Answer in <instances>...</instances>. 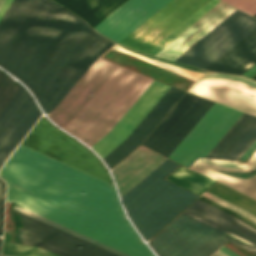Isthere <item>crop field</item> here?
<instances>
[{"instance_id":"cbeb9de0","label":"crop field","mask_w":256,"mask_h":256,"mask_svg":"<svg viewBox=\"0 0 256 256\" xmlns=\"http://www.w3.org/2000/svg\"><path fill=\"white\" fill-rule=\"evenodd\" d=\"M118 67L119 65L98 58L56 109L49 114V117L63 128L80 112Z\"/></svg>"},{"instance_id":"5d738f31","label":"crop field","mask_w":256,"mask_h":256,"mask_svg":"<svg viewBox=\"0 0 256 256\" xmlns=\"http://www.w3.org/2000/svg\"><path fill=\"white\" fill-rule=\"evenodd\" d=\"M3 1H4V0H0V6H1V4L3 3Z\"/></svg>"},{"instance_id":"5142ce71","label":"crop field","mask_w":256,"mask_h":256,"mask_svg":"<svg viewBox=\"0 0 256 256\" xmlns=\"http://www.w3.org/2000/svg\"><path fill=\"white\" fill-rule=\"evenodd\" d=\"M22 90L29 96L41 115L31 96L22 86L0 114V118ZM23 91L0 120V167L40 117L28 96Z\"/></svg>"},{"instance_id":"733c2abd","label":"crop field","mask_w":256,"mask_h":256,"mask_svg":"<svg viewBox=\"0 0 256 256\" xmlns=\"http://www.w3.org/2000/svg\"><path fill=\"white\" fill-rule=\"evenodd\" d=\"M170 0H127L94 29L118 43Z\"/></svg>"},{"instance_id":"5a996713","label":"crop field","mask_w":256,"mask_h":256,"mask_svg":"<svg viewBox=\"0 0 256 256\" xmlns=\"http://www.w3.org/2000/svg\"><path fill=\"white\" fill-rule=\"evenodd\" d=\"M241 114L214 103L169 157L188 166L205 157Z\"/></svg>"},{"instance_id":"d8731c3e","label":"crop field","mask_w":256,"mask_h":256,"mask_svg":"<svg viewBox=\"0 0 256 256\" xmlns=\"http://www.w3.org/2000/svg\"><path fill=\"white\" fill-rule=\"evenodd\" d=\"M255 28V19L236 10L175 61L206 69Z\"/></svg>"},{"instance_id":"25e5ab78","label":"crop field","mask_w":256,"mask_h":256,"mask_svg":"<svg viewBox=\"0 0 256 256\" xmlns=\"http://www.w3.org/2000/svg\"><path fill=\"white\" fill-rule=\"evenodd\" d=\"M254 17H256V15H254Z\"/></svg>"},{"instance_id":"730fd06b","label":"crop field","mask_w":256,"mask_h":256,"mask_svg":"<svg viewBox=\"0 0 256 256\" xmlns=\"http://www.w3.org/2000/svg\"><path fill=\"white\" fill-rule=\"evenodd\" d=\"M167 180H170L172 182H175L199 195H201L204 191H206L212 184H214L216 181L212 180L210 178H207L203 175H200L198 173H195L193 171H190L182 166H179L174 172H172L167 178ZM182 181L195 186L199 189L193 188Z\"/></svg>"},{"instance_id":"4177f3b9","label":"crop field","mask_w":256,"mask_h":256,"mask_svg":"<svg viewBox=\"0 0 256 256\" xmlns=\"http://www.w3.org/2000/svg\"><path fill=\"white\" fill-rule=\"evenodd\" d=\"M208 193L252 214L256 217V200L218 182Z\"/></svg>"},{"instance_id":"4a817a6b","label":"crop field","mask_w":256,"mask_h":256,"mask_svg":"<svg viewBox=\"0 0 256 256\" xmlns=\"http://www.w3.org/2000/svg\"><path fill=\"white\" fill-rule=\"evenodd\" d=\"M184 93L172 87L169 89L130 136L103 159L109 169H112L143 142Z\"/></svg>"},{"instance_id":"03da06ac","label":"crop field","mask_w":256,"mask_h":256,"mask_svg":"<svg viewBox=\"0 0 256 256\" xmlns=\"http://www.w3.org/2000/svg\"><path fill=\"white\" fill-rule=\"evenodd\" d=\"M229 249V248H228ZM226 247H222V248H220L219 250H221L223 253H225L226 255H228V256H237V255H235L233 252H231L230 250H228Z\"/></svg>"},{"instance_id":"92a150f3","label":"crop field","mask_w":256,"mask_h":256,"mask_svg":"<svg viewBox=\"0 0 256 256\" xmlns=\"http://www.w3.org/2000/svg\"><path fill=\"white\" fill-rule=\"evenodd\" d=\"M233 11H235V9L220 2L191 27L184 31L180 36L173 40L169 45L162 49L158 54H156V56L174 61L188 47L209 32ZM200 28L202 29L198 31ZM196 31L198 32L181 46V44Z\"/></svg>"},{"instance_id":"dd49c442","label":"crop field","mask_w":256,"mask_h":256,"mask_svg":"<svg viewBox=\"0 0 256 256\" xmlns=\"http://www.w3.org/2000/svg\"><path fill=\"white\" fill-rule=\"evenodd\" d=\"M230 238L182 213L148 244L158 256H210Z\"/></svg>"},{"instance_id":"eef30255","label":"crop field","mask_w":256,"mask_h":256,"mask_svg":"<svg viewBox=\"0 0 256 256\" xmlns=\"http://www.w3.org/2000/svg\"><path fill=\"white\" fill-rule=\"evenodd\" d=\"M256 139V117L230 145L220 158L239 159Z\"/></svg>"},{"instance_id":"b54c1fbb","label":"crop field","mask_w":256,"mask_h":256,"mask_svg":"<svg viewBox=\"0 0 256 256\" xmlns=\"http://www.w3.org/2000/svg\"><path fill=\"white\" fill-rule=\"evenodd\" d=\"M212 256H226L225 254H223L221 251H217L215 254H213Z\"/></svg>"},{"instance_id":"73cf0c24","label":"crop field","mask_w":256,"mask_h":256,"mask_svg":"<svg viewBox=\"0 0 256 256\" xmlns=\"http://www.w3.org/2000/svg\"><path fill=\"white\" fill-rule=\"evenodd\" d=\"M2 256H4V255H2Z\"/></svg>"},{"instance_id":"8a807250","label":"crop field","mask_w":256,"mask_h":256,"mask_svg":"<svg viewBox=\"0 0 256 256\" xmlns=\"http://www.w3.org/2000/svg\"><path fill=\"white\" fill-rule=\"evenodd\" d=\"M97 34L49 0H13L0 20V66L48 113L114 44Z\"/></svg>"},{"instance_id":"412701ff","label":"crop field","mask_w":256,"mask_h":256,"mask_svg":"<svg viewBox=\"0 0 256 256\" xmlns=\"http://www.w3.org/2000/svg\"><path fill=\"white\" fill-rule=\"evenodd\" d=\"M178 166L167 159L122 198L131 220L145 240L199 197L163 180Z\"/></svg>"},{"instance_id":"3316defc","label":"crop field","mask_w":256,"mask_h":256,"mask_svg":"<svg viewBox=\"0 0 256 256\" xmlns=\"http://www.w3.org/2000/svg\"><path fill=\"white\" fill-rule=\"evenodd\" d=\"M212 104L186 93L143 145L168 156Z\"/></svg>"},{"instance_id":"d1516ede","label":"crop field","mask_w":256,"mask_h":256,"mask_svg":"<svg viewBox=\"0 0 256 256\" xmlns=\"http://www.w3.org/2000/svg\"><path fill=\"white\" fill-rule=\"evenodd\" d=\"M209 0H172L119 44L146 52Z\"/></svg>"},{"instance_id":"d32e631a","label":"crop field","mask_w":256,"mask_h":256,"mask_svg":"<svg viewBox=\"0 0 256 256\" xmlns=\"http://www.w3.org/2000/svg\"><path fill=\"white\" fill-rule=\"evenodd\" d=\"M228 4L250 14H256V0H223Z\"/></svg>"},{"instance_id":"a9b5d70f","label":"crop field","mask_w":256,"mask_h":256,"mask_svg":"<svg viewBox=\"0 0 256 256\" xmlns=\"http://www.w3.org/2000/svg\"><path fill=\"white\" fill-rule=\"evenodd\" d=\"M82 17L93 28L126 0H54Z\"/></svg>"},{"instance_id":"c035e120","label":"crop field","mask_w":256,"mask_h":256,"mask_svg":"<svg viewBox=\"0 0 256 256\" xmlns=\"http://www.w3.org/2000/svg\"><path fill=\"white\" fill-rule=\"evenodd\" d=\"M255 74H256V64H255L252 68L248 69V70L244 73V75H247V76H250V77H252V76L255 75Z\"/></svg>"},{"instance_id":"c21b1889","label":"crop field","mask_w":256,"mask_h":256,"mask_svg":"<svg viewBox=\"0 0 256 256\" xmlns=\"http://www.w3.org/2000/svg\"><path fill=\"white\" fill-rule=\"evenodd\" d=\"M255 62H256V58L253 61H251L248 65H246L243 69H241L236 74L241 75L246 69L250 68L253 64H255Z\"/></svg>"},{"instance_id":"d23c7cc5","label":"crop field","mask_w":256,"mask_h":256,"mask_svg":"<svg viewBox=\"0 0 256 256\" xmlns=\"http://www.w3.org/2000/svg\"><path fill=\"white\" fill-rule=\"evenodd\" d=\"M253 78H254V79H256V76H255V77H253ZM254 79H253V80H254Z\"/></svg>"},{"instance_id":"e1f06a70","label":"crop field","mask_w":256,"mask_h":256,"mask_svg":"<svg viewBox=\"0 0 256 256\" xmlns=\"http://www.w3.org/2000/svg\"><path fill=\"white\" fill-rule=\"evenodd\" d=\"M4 196H5V184L0 179V236H1L2 224H3Z\"/></svg>"},{"instance_id":"028f5c9d","label":"crop field","mask_w":256,"mask_h":256,"mask_svg":"<svg viewBox=\"0 0 256 256\" xmlns=\"http://www.w3.org/2000/svg\"><path fill=\"white\" fill-rule=\"evenodd\" d=\"M200 199H202V200H204V201H206V202H208V203H210V204H212V205H214V206H216V207H218V208H220V209H222L224 211H227V212L231 213L232 215L238 217L239 219L245 221L246 223H248V224H250V225H252L253 227L256 228V224L255 223H253L250 220H248V219H246V218L236 214L235 212H233V211H231V210H229V209H227V208H225V207H223V206H221V205H219V204H217V203H215V202H213V201H211V200H209V199H207V198H205L203 196L200 197Z\"/></svg>"},{"instance_id":"ae1a2a85","label":"crop field","mask_w":256,"mask_h":256,"mask_svg":"<svg viewBox=\"0 0 256 256\" xmlns=\"http://www.w3.org/2000/svg\"><path fill=\"white\" fill-rule=\"evenodd\" d=\"M253 118L254 116L243 113L206 157L219 158Z\"/></svg>"},{"instance_id":"425ffa30","label":"crop field","mask_w":256,"mask_h":256,"mask_svg":"<svg viewBox=\"0 0 256 256\" xmlns=\"http://www.w3.org/2000/svg\"><path fill=\"white\" fill-rule=\"evenodd\" d=\"M0 243H1V239H0Z\"/></svg>"},{"instance_id":"b80d0937","label":"crop field","mask_w":256,"mask_h":256,"mask_svg":"<svg viewBox=\"0 0 256 256\" xmlns=\"http://www.w3.org/2000/svg\"><path fill=\"white\" fill-rule=\"evenodd\" d=\"M12 0H5V2L3 3V5L0 8V18L2 17V15L4 14V12L6 11V9L8 8L9 4L11 3Z\"/></svg>"},{"instance_id":"0bd39190","label":"crop field","mask_w":256,"mask_h":256,"mask_svg":"<svg viewBox=\"0 0 256 256\" xmlns=\"http://www.w3.org/2000/svg\"><path fill=\"white\" fill-rule=\"evenodd\" d=\"M255 150H256V140L240 160H247L254 153Z\"/></svg>"},{"instance_id":"d3111659","label":"crop field","mask_w":256,"mask_h":256,"mask_svg":"<svg viewBox=\"0 0 256 256\" xmlns=\"http://www.w3.org/2000/svg\"><path fill=\"white\" fill-rule=\"evenodd\" d=\"M219 2L220 1L218 0H210L201 9H199L196 13H194L191 17H189L186 21H184L180 26H178L175 30H173L170 34H168L165 38H163L147 52L153 55L158 53L162 48L169 44L173 39L180 35L184 30H186L189 26H191L195 21H197L200 17H202L206 12H208Z\"/></svg>"},{"instance_id":"28ad6ade","label":"crop field","mask_w":256,"mask_h":256,"mask_svg":"<svg viewBox=\"0 0 256 256\" xmlns=\"http://www.w3.org/2000/svg\"><path fill=\"white\" fill-rule=\"evenodd\" d=\"M17 213L24 226L19 228L18 242L38 245L59 256H118L19 211Z\"/></svg>"},{"instance_id":"bd1437ed","label":"crop field","mask_w":256,"mask_h":256,"mask_svg":"<svg viewBox=\"0 0 256 256\" xmlns=\"http://www.w3.org/2000/svg\"><path fill=\"white\" fill-rule=\"evenodd\" d=\"M22 85L16 83L0 70V113Z\"/></svg>"},{"instance_id":"dafd665d","label":"crop field","mask_w":256,"mask_h":256,"mask_svg":"<svg viewBox=\"0 0 256 256\" xmlns=\"http://www.w3.org/2000/svg\"><path fill=\"white\" fill-rule=\"evenodd\" d=\"M189 169L206 175L208 177L214 178L254 199H256V176L250 179H239L234 178L229 175L221 174L210 169L224 170L230 172H248L256 169V152L252 157L247 161L242 169H230L224 167L211 166L206 163L196 160Z\"/></svg>"},{"instance_id":"22f410ed","label":"crop field","mask_w":256,"mask_h":256,"mask_svg":"<svg viewBox=\"0 0 256 256\" xmlns=\"http://www.w3.org/2000/svg\"><path fill=\"white\" fill-rule=\"evenodd\" d=\"M188 91L256 115L255 81L212 73L197 81Z\"/></svg>"},{"instance_id":"00972430","label":"crop field","mask_w":256,"mask_h":256,"mask_svg":"<svg viewBox=\"0 0 256 256\" xmlns=\"http://www.w3.org/2000/svg\"><path fill=\"white\" fill-rule=\"evenodd\" d=\"M255 57L256 29L207 68V70L235 74Z\"/></svg>"},{"instance_id":"e52e79f7","label":"crop field","mask_w":256,"mask_h":256,"mask_svg":"<svg viewBox=\"0 0 256 256\" xmlns=\"http://www.w3.org/2000/svg\"><path fill=\"white\" fill-rule=\"evenodd\" d=\"M22 145L113 185L96 155L42 117Z\"/></svg>"},{"instance_id":"d9b57169","label":"crop field","mask_w":256,"mask_h":256,"mask_svg":"<svg viewBox=\"0 0 256 256\" xmlns=\"http://www.w3.org/2000/svg\"><path fill=\"white\" fill-rule=\"evenodd\" d=\"M170 86L154 80L115 126L92 146L103 159L136 128Z\"/></svg>"},{"instance_id":"ac0d7876","label":"crop field","mask_w":256,"mask_h":256,"mask_svg":"<svg viewBox=\"0 0 256 256\" xmlns=\"http://www.w3.org/2000/svg\"><path fill=\"white\" fill-rule=\"evenodd\" d=\"M0 176L14 185L139 238L123 217L114 187L106 182L22 145L0 170Z\"/></svg>"},{"instance_id":"34b2d1b8","label":"crop field","mask_w":256,"mask_h":256,"mask_svg":"<svg viewBox=\"0 0 256 256\" xmlns=\"http://www.w3.org/2000/svg\"><path fill=\"white\" fill-rule=\"evenodd\" d=\"M152 81L120 66L63 129L92 146L113 127Z\"/></svg>"},{"instance_id":"750c4746","label":"crop field","mask_w":256,"mask_h":256,"mask_svg":"<svg viewBox=\"0 0 256 256\" xmlns=\"http://www.w3.org/2000/svg\"><path fill=\"white\" fill-rule=\"evenodd\" d=\"M112 49H116V50H119V51L130 53V54L135 55V56H137L141 59H144L146 61L154 63V64H156L158 66H161V67H163L167 70H170L174 73H177V74L182 75L186 78H189L193 81H196V80L200 79L201 77L209 74V73L193 72V71L181 68V67H177V66L159 61V60H155V59H152V58H149V57H146V56H143V55H140V54L128 51V50H124V49L120 48L118 45H115L114 47H112Z\"/></svg>"},{"instance_id":"bc2a9ffb","label":"crop field","mask_w":256,"mask_h":256,"mask_svg":"<svg viewBox=\"0 0 256 256\" xmlns=\"http://www.w3.org/2000/svg\"><path fill=\"white\" fill-rule=\"evenodd\" d=\"M184 213L197 218L205 223H208L218 229H221L253 246H255L251 240L241 236L232 229L244 234L245 236L256 241V230L237 220L228 213L198 199L191 206H189ZM232 229H230V228ZM230 242L243 247L256 254V248L245 245L235 239L230 240ZM256 244V243H255ZM256 247V246H255Z\"/></svg>"},{"instance_id":"5866460e","label":"crop field","mask_w":256,"mask_h":256,"mask_svg":"<svg viewBox=\"0 0 256 256\" xmlns=\"http://www.w3.org/2000/svg\"><path fill=\"white\" fill-rule=\"evenodd\" d=\"M204 196H206V197H208V198H210V199H212V200H214V201H216V202H218V203H220V204H222V205L240 213L241 215L249 218L250 220L256 222V218L253 217L252 215H250V214H248V213H246V212H244V211H242V210H240V209H238V208H236V207H234V206H232V205H230V204H228V203H226V202H224V201H222V200H220V199H218V198H216V197H214V196H212L208 193H205Z\"/></svg>"},{"instance_id":"f4fd0767","label":"crop field","mask_w":256,"mask_h":256,"mask_svg":"<svg viewBox=\"0 0 256 256\" xmlns=\"http://www.w3.org/2000/svg\"><path fill=\"white\" fill-rule=\"evenodd\" d=\"M6 199L130 256H154L140 241L7 183Z\"/></svg>"},{"instance_id":"214f88e0","label":"crop field","mask_w":256,"mask_h":256,"mask_svg":"<svg viewBox=\"0 0 256 256\" xmlns=\"http://www.w3.org/2000/svg\"><path fill=\"white\" fill-rule=\"evenodd\" d=\"M165 160L166 158L142 146L135 150L112 170L121 197Z\"/></svg>"},{"instance_id":"120bbe31","label":"crop field","mask_w":256,"mask_h":256,"mask_svg":"<svg viewBox=\"0 0 256 256\" xmlns=\"http://www.w3.org/2000/svg\"><path fill=\"white\" fill-rule=\"evenodd\" d=\"M14 208L17 209V210H19V211H21V212H24V213H26V214H28V215H30V216H33V217H35V218H37V219H39V220H42V221H44V222H46V223H48V224H51V225H53V226H55V227H57V228H60V229H62V230H64V231H66V232H69V233H71V234H73V235H75V236H78V237H80V238H82V239H84V240H87V241H89V242H91V243H93V244H96V245H98V246H100V247H102V248H105V249H107V250H109V251H111V252H114V253H116V254H118V255H120V256H127V255H125V254H123V253H120V252H118V251H116V250H114V249H112V248H109V247H107V246H105V245H103V244H100V243H98V242H96V241H94V240H91V239H89V238H87V237H85V236H82V235H80V234H78V233H76V232H74V231H71V230H69V229H67V228H65V227H62V226H60V225H58V224H56V223H53V222H51V221H49V220H47V219H44V218H42V217H40V216H38V215H36V214H33V213H31V212H29V211L23 209V208L17 207V206H15V205H14Z\"/></svg>"},{"instance_id":"1d83c4d3","label":"crop field","mask_w":256,"mask_h":256,"mask_svg":"<svg viewBox=\"0 0 256 256\" xmlns=\"http://www.w3.org/2000/svg\"><path fill=\"white\" fill-rule=\"evenodd\" d=\"M1 254L12 256H56L45 250L3 242Z\"/></svg>"}]
</instances>
